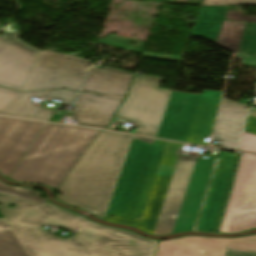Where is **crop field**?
I'll return each mask as SVG.
<instances>
[{
  "instance_id": "17",
  "label": "crop field",
  "mask_w": 256,
  "mask_h": 256,
  "mask_svg": "<svg viewBox=\"0 0 256 256\" xmlns=\"http://www.w3.org/2000/svg\"><path fill=\"white\" fill-rule=\"evenodd\" d=\"M132 78L133 74L125 71L90 67L82 91L125 97Z\"/></svg>"
},
{
  "instance_id": "15",
  "label": "crop field",
  "mask_w": 256,
  "mask_h": 256,
  "mask_svg": "<svg viewBox=\"0 0 256 256\" xmlns=\"http://www.w3.org/2000/svg\"><path fill=\"white\" fill-rule=\"evenodd\" d=\"M215 43L244 59V64L256 67V24L224 22Z\"/></svg>"
},
{
  "instance_id": "20",
  "label": "crop field",
  "mask_w": 256,
  "mask_h": 256,
  "mask_svg": "<svg viewBox=\"0 0 256 256\" xmlns=\"http://www.w3.org/2000/svg\"><path fill=\"white\" fill-rule=\"evenodd\" d=\"M129 41L136 42L135 46L128 44ZM99 42H102L107 45L119 47L135 53H140L143 47L142 40L118 36V35H112V34H109L107 37L103 38Z\"/></svg>"
},
{
  "instance_id": "28",
  "label": "crop field",
  "mask_w": 256,
  "mask_h": 256,
  "mask_svg": "<svg viewBox=\"0 0 256 256\" xmlns=\"http://www.w3.org/2000/svg\"><path fill=\"white\" fill-rule=\"evenodd\" d=\"M53 113H54L53 110H47V109L40 108L35 119L42 120V121H49V119L51 118Z\"/></svg>"
},
{
  "instance_id": "3",
  "label": "crop field",
  "mask_w": 256,
  "mask_h": 256,
  "mask_svg": "<svg viewBox=\"0 0 256 256\" xmlns=\"http://www.w3.org/2000/svg\"><path fill=\"white\" fill-rule=\"evenodd\" d=\"M132 138L143 139L100 130L58 187L62 195L56 199L103 217Z\"/></svg>"
},
{
  "instance_id": "11",
  "label": "crop field",
  "mask_w": 256,
  "mask_h": 256,
  "mask_svg": "<svg viewBox=\"0 0 256 256\" xmlns=\"http://www.w3.org/2000/svg\"><path fill=\"white\" fill-rule=\"evenodd\" d=\"M18 33L3 32L0 39V85L21 91L39 50L17 39Z\"/></svg>"
},
{
  "instance_id": "30",
  "label": "crop field",
  "mask_w": 256,
  "mask_h": 256,
  "mask_svg": "<svg viewBox=\"0 0 256 256\" xmlns=\"http://www.w3.org/2000/svg\"><path fill=\"white\" fill-rule=\"evenodd\" d=\"M61 118H62L61 115H56V114H54V115L52 116V118L50 119V121L60 122Z\"/></svg>"
},
{
  "instance_id": "26",
  "label": "crop field",
  "mask_w": 256,
  "mask_h": 256,
  "mask_svg": "<svg viewBox=\"0 0 256 256\" xmlns=\"http://www.w3.org/2000/svg\"><path fill=\"white\" fill-rule=\"evenodd\" d=\"M227 20L256 22V17H247L243 12H229Z\"/></svg>"
},
{
  "instance_id": "24",
  "label": "crop field",
  "mask_w": 256,
  "mask_h": 256,
  "mask_svg": "<svg viewBox=\"0 0 256 256\" xmlns=\"http://www.w3.org/2000/svg\"><path fill=\"white\" fill-rule=\"evenodd\" d=\"M238 4H255L256 0H204L202 5H238Z\"/></svg>"
},
{
  "instance_id": "23",
  "label": "crop field",
  "mask_w": 256,
  "mask_h": 256,
  "mask_svg": "<svg viewBox=\"0 0 256 256\" xmlns=\"http://www.w3.org/2000/svg\"><path fill=\"white\" fill-rule=\"evenodd\" d=\"M240 151L256 153V135L243 133Z\"/></svg>"
},
{
  "instance_id": "29",
  "label": "crop field",
  "mask_w": 256,
  "mask_h": 256,
  "mask_svg": "<svg viewBox=\"0 0 256 256\" xmlns=\"http://www.w3.org/2000/svg\"><path fill=\"white\" fill-rule=\"evenodd\" d=\"M226 256H256V255L239 253V252H227Z\"/></svg>"
},
{
  "instance_id": "32",
  "label": "crop field",
  "mask_w": 256,
  "mask_h": 256,
  "mask_svg": "<svg viewBox=\"0 0 256 256\" xmlns=\"http://www.w3.org/2000/svg\"><path fill=\"white\" fill-rule=\"evenodd\" d=\"M143 141H146V142L152 143V142H153V139L144 138V139H143Z\"/></svg>"
},
{
  "instance_id": "27",
  "label": "crop field",
  "mask_w": 256,
  "mask_h": 256,
  "mask_svg": "<svg viewBox=\"0 0 256 256\" xmlns=\"http://www.w3.org/2000/svg\"><path fill=\"white\" fill-rule=\"evenodd\" d=\"M238 155H239V154H237L236 160H237V158H238ZM236 160H235V163H234V165H233V167H232L231 176H230V178H229V180H228V183H227V188H226V191H225V193H224L223 200H222V202H221V207H220V209H219V211H218V215H217V218H216L215 225H214V227H213V231H214V230H217V226H218V222H219V220H220V215H221V212H222L223 204H224V202H225V199H226V196H227V193H228V188H229V186H230V181H231V179H232L233 172H234V170H235Z\"/></svg>"
},
{
  "instance_id": "12",
  "label": "crop field",
  "mask_w": 256,
  "mask_h": 256,
  "mask_svg": "<svg viewBox=\"0 0 256 256\" xmlns=\"http://www.w3.org/2000/svg\"><path fill=\"white\" fill-rule=\"evenodd\" d=\"M45 125L0 117V172L6 179Z\"/></svg>"
},
{
  "instance_id": "2",
  "label": "crop field",
  "mask_w": 256,
  "mask_h": 256,
  "mask_svg": "<svg viewBox=\"0 0 256 256\" xmlns=\"http://www.w3.org/2000/svg\"><path fill=\"white\" fill-rule=\"evenodd\" d=\"M182 144L167 142L141 220L112 216L104 221L154 235L193 231L217 157L179 155Z\"/></svg>"
},
{
  "instance_id": "21",
  "label": "crop field",
  "mask_w": 256,
  "mask_h": 256,
  "mask_svg": "<svg viewBox=\"0 0 256 256\" xmlns=\"http://www.w3.org/2000/svg\"><path fill=\"white\" fill-rule=\"evenodd\" d=\"M33 190L34 189L9 186L0 181V193L35 201L41 204L48 202L47 199L30 195Z\"/></svg>"
},
{
  "instance_id": "13",
  "label": "crop field",
  "mask_w": 256,
  "mask_h": 256,
  "mask_svg": "<svg viewBox=\"0 0 256 256\" xmlns=\"http://www.w3.org/2000/svg\"><path fill=\"white\" fill-rule=\"evenodd\" d=\"M235 157V155L226 152H219L205 202L196 225V231L212 232L215 217L220 207V201L225 191L226 182L229 178Z\"/></svg>"
},
{
  "instance_id": "8",
  "label": "crop field",
  "mask_w": 256,
  "mask_h": 256,
  "mask_svg": "<svg viewBox=\"0 0 256 256\" xmlns=\"http://www.w3.org/2000/svg\"><path fill=\"white\" fill-rule=\"evenodd\" d=\"M256 228V156L241 154L219 233Z\"/></svg>"
},
{
  "instance_id": "22",
  "label": "crop field",
  "mask_w": 256,
  "mask_h": 256,
  "mask_svg": "<svg viewBox=\"0 0 256 256\" xmlns=\"http://www.w3.org/2000/svg\"><path fill=\"white\" fill-rule=\"evenodd\" d=\"M76 94L77 92L69 90L48 91L45 98H58L63 100L62 104L71 105Z\"/></svg>"
},
{
  "instance_id": "19",
  "label": "crop field",
  "mask_w": 256,
  "mask_h": 256,
  "mask_svg": "<svg viewBox=\"0 0 256 256\" xmlns=\"http://www.w3.org/2000/svg\"><path fill=\"white\" fill-rule=\"evenodd\" d=\"M0 256H28L5 219H0Z\"/></svg>"
},
{
  "instance_id": "18",
  "label": "crop field",
  "mask_w": 256,
  "mask_h": 256,
  "mask_svg": "<svg viewBox=\"0 0 256 256\" xmlns=\"http://www.w3.org/2000/svg\"><path fill=\"white\" fill-rule=\"evenodd\" d=\"M46 91L20 93V96L12 101L0 115L15 116L20 118L32 119L39 106L33 104V98H43Z\"/></svg>"
},
{
  "instance_id": "4",
  "label": "crop field",
  "mask_w": 256,
  "mask_h": 256,
  "mask_svg": "<svg viewBox=\"0 0 256 256\" xmlns=\"http://www.w3.org/2000/svg\"><path fill=\"white\" fill-rule=\"evenodd\" d=\"M98 132L47 123L8 179L57 189Z\"/></svg>"
},
{
  "instance_id": "25",
  "label": "crop field",
  "mask_w": 256,
  "mask_h": 256,
  "mask_svg": "<svg viewBox=\"0 0 256 256\" xmlns=\"http://www.w3.org/2000/svg\"><path fill=\"white\" fill-rule=\"evenodd\" d=\"M18 95L19 92L0 88V111Z\"/></svg>"
},
{
  "instance_id": "10",
  "label": "crop field",
  "mask_w": 256,
  "mask_h": 256,
  "mask_svg": "<svg viewBox=\"0 0 256 256\" xmlns=\"http://www.w3.org/2000/svg\"><path fill=\"white\" fill-rule=\"evenodd\" d=\"M256 252V234L236 238L182 237L158 243L155 256H223V251Z\"/></svg>"
},
{
  "instance_id": "16",
  "label": "crop field",
  "mask_w": 256,
  "mask_h": 256,
  "mask_svg": "<svg viewBox=\"0 0 256 256\" xmlns=\"http://www.w3.org/2000/svg\"><path fill=\"white\" fill-rule=\"evenodd\" d=\"M247 110L246 105L232 103L222 99L219 114L215 124L213 139H216L223 149H237V142Z\"/></svg>"
},
{
  "instance_id": "6",
  "label": "crop field",
  "mask_w": 256,
  "mask_h": 256,
  "mask_svg": "<svg viewBox=\"0 0 256 256\" xmlns=\"http://www.w3.org/2000/svg\"><path fill=\"white\" fill-rule=\"evenodd\" d=\"M222 92H172L156 137L203 145L211 134Z\"/></svg>"
},
{
  "instance_id": "9",
  "label": "crop field",
  "mask_w": 256,
  "mask_h": 256,
  "mask_svg": "<svg viewBox=\"0 0 256 256\" xmlns=\"http://www.w3.org/2000/svg\"><path fill=\"white\" fill-rule=\"evenodd\" d=\"M90 62L42 50L22 91L56 88L79 90Z\"/></svg>"
},
{
  "instance_id": "1",
  "label": "crop field",
  "mask_w": 256,
  "mask_h": 256,
  "mask_svg": "<svg viewBox=\"0 0 256 256\" xmlns=\"http://www.w3.org/2000/svg\"><path fill=\"white\" fill-rule=\"evenodd\" d=\"M0 212L29 256H85L79 246L42 230L50 225L85 242L87 256H153L157 241L96 224L48 202L44 205L0 194ZM9 205H14L10 208Z\"/></svg>"
},
{
  "instance_id": "7",
  "label": "crop field",
  "mask_w": 256,
  "mask_h": 256,
  "mask_svg": "<svg viewBox=\"0 0 256 256\" xmlns=\"http://www.w3.org/2000/svg\"><path fill=\"white\" fill-rule=\"evenodd\" d=\"M162 79L136 76L130 95L116 118L133 121L139 127L135 134L155 137L170 90L158 88Z\"/></svg>"
},
{
  "instance_id": "31",
  "label": "crop field",
  "mask_w": 256,
  "mask_h": 256,
  "mask_svg": "<svg viewBox=\"0 0 256 256\" xmlns=\"http://www.w3.org/2000/svg\"><path fill=\"white\" fill-rule=\"evenodd\" d=\"M74 242V241H73ZM76 243V242H75ZM79 246H80V248L82 249L84 246H85V243H77ZM82 251H83V249H82ZM84 252V251H83ZM85 254V253H84ZM86 255V254H85Z\"/></svg>"
},
{
  "instance_id": "5",
  "label": "crop field",
  "mask_w": 256,
  "mask_h": 256,
  "mask_svg": "<svg viewBox=\"0 0 256 256\" xmlns=\"http://www.w3.org/2000/svg\"><path fill=\"white\" fill-rule=\"evenodd\" d=\"M164 143L155 140L151 145L132 139L105 217L140 218Z\"/></svg>"
},
{
  "instance_id": "14",
  "label": "crop field",
  "mask_w": 256,
  "mask_h": 256,
  "mask_svg": "<svg viewBox=\"0 0 256 256\" xmlns=\"http://www.w3.org/2000/svg\"><path fill=\"white\" fill-rule=\"evenodd\" d=\"M122 99L93 94H79L70 115L76 125L107 129Z\"/></svg>"
}]
</instances>
